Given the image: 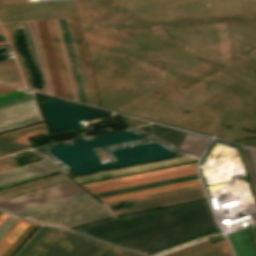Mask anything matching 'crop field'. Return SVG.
I'll return each instance as SVG.
<instances>
[{
	"label": "crop field",
	"instance_id": "35",
	"mask_svg": "<svg viewBox=\"0 0 256 256\" xmlns=\"http://www.w3.org/2000/svg\"><path fill=\"white\" fill-rule=\"evenodd\" d=\"M250 228H251V231H252L255 243H256V225L251 226Z\"/></svg>",
	"mask_w": 256,
	"mask_h": 256
},
{
	"label": "crop field",
	"instance_id": "13",
	"mask_svg": "<svg viewBox=\"0 0 256 256\" xmlns=\"http://www.w3.org/2000/svg\"><path fill=\"white\" fill-rule=\"evenodd\" d=\"M139 128L173 143L178 148L186 134L185 132L169 129L156 124L145 125Z\"/></svg>",
	"mask_w": 256,
	"mask_h": 256
},
{
	"label": "crop field",
	"instance_id": "24",
	"mask_svg": "<svg viewBox=\"0 0 256 256\" xmlns=\"http://www.w3.org/2000/svg\"><path fill=\"white\" fill-rule=\"evenodd\" d=\"M0 81L23 87L24 84L18 71L0 74Z\"/></svg>",
	"mask_w": 256,
	"mask_h": 256
},
{
	"label": "crop field",
	"instance_id": "29",
	"mask_svg": "<svg viewBox=\"0 0 256 256\" xmlns=\"http://www.w3.org/2000/svg\"><path fill=\"white\" fill-rule=\"evenodd\" d=\"M42 120L43 119L40 116V117L32 118V119H29V120L21 121V122H18V123L10 124V125H7V126L0 127V132L8 130V129L16 128V127H19V126L31 124V123H34V122L42 121Z\"/></svg>",
	"mask_w": 256,
	"mask_h": 256
},
{
	"label": "crop field",
	"instance_id": "18",
	"mask_svg": "<svg viewBox=\"0 0 256 256\" xmlns=\"http://www.w3.org/2000/svg\"><path fill=\"white\" fill-rule=\"evenodd\" d=\"M196 178H198L197 175L190 176V177L179 178V179H174V180H169V181H164V182L148 184V185H143V186H138V187L127 188V189H122V190H117V191H112V192L96 194L95 196L97 198H100V197H105V196H110V195H115V194H120V193H125V192L145 189V188H151V187H156V186H161V185H166V184H171V183H176V182H181V181H186V180H191V179H196Z\"/></svg>",
	"mask_w": 256,
	"mask_h": 256
},
{
	"label": "crop field",
	"instance_id": "28",
	"mask_svg": "<svg viewBox=\"0 0 256 256\" xmlns=\"http://www.w3.org/2000/svg\"><path fill=\"white\" fill-rule=\"evenodd\" d=\"M242 149H243V152H244V156H245L247 166H248V169H249V172H250V175H251V179H252V182H253V185H254V188H255V192H256V174H255L254 167H253V164H252V161H251L249 150L245 149V148H242Z\"/></svg>",
	"mask_w": 256,
	"mask_h": 256
},
{
	"label": "crop field",
	"instance_id": "20",
	"mask_svg": "<svg viewBox=\"0 0 256 256\" xmlns=\"http://www.w3.org/2000/svg\"><path fill=\"white\" fill-rule=\"evenodd\" d=\"M36 227L37 225L30 223L28 227L21 233V235L14 241V243L7 249V251L2 256H12V254L27 239V237L34 231Z\"/></svg>",
	"mask_w": 256,
	"mask_h": 256
},
{
	"label": "crop field",
	"instance_id": "21",
	"mask_svg": "<svg viewBox=\"0 0 256 256\" xmlns=\"http://www.w3.org/2000/svg\"><path fill=\"white\" fill-rule=\"evenodd\" d=\"M227 237L234 249L236 256H247L237 231L234 233L228 234Z\"/></svg>",
	"mask_w": 256,
	"mask_h": 256
},
{
	"label": "crop field",
	"instance_id": "1",
	"mask_svg": "<svg viewBox=\"0 0 256 256\" xmlns=\"http://www.w3.org/2000/svg\"><path fill=\"white\" fill-rule=\"evenodd\" d=\"M91 238L51 228L27 256H77Z\"/></svg>",
	"mask_w": 256,
	"mask_h": 256
},
{
	"label": "crop field",
	"instance_id": "27",
	"mask_svg": "<svg viewBox=\"0 0 256 256\" xmlns=\"http://www.w3.org/2000/svg\"><path fill=\"white\" fill-rule=\"evenodd\" d=\"M18 217L9 214L5 220L0 224V238L7 232V230L14 224ZM9 231V230H8Z\"/></svg>",
	"mask_w": 256,
	"mask_h": 256
},
{
	"label": "crop field",
	"instance_id": "2",
	"mask_svg": "<svg viewBox=\"0 0 256 256\" xmlns=\"http://www.w3.org/2000/svg\"><path fill=\"white\" fill-rule=\"evenodd\" d=\"M84 192L81 188L74 183H66L25 196L0 202V209L10 212L45 203L48 201L56 200L73 194Z\"/></svg>",
	"mask_w": 256,
	"mask_h": 256
},
{
	"label": "crop field",
	"instance_id": "16",
	"mask_svg": "<svg viewBox=\"0 0 256 256\" xmlns=\"http://www.w3.org/2000/svg\"><path fill=\"white\" fill-rule=\"evenodd\" d=\"M29 222L19 218L16 223L9 229V231L0 240V256L13 243V241L20 235V233L27 227Z\"/></svg>",
	"mask_w": 256,
	"mask_h": 256
},
{
	"label": "crop field",
	"instance_id": "7",
	"mask_svg": "<svg viewBox=\"0 0 256 256\" xmlns=\"http://www.w3.org/2000/svg\"><path fill=\"white\" fill-rule=\"evenodd\" d=\"M41 115L35 100L0 108V126Z\"/></svg>",
	"mask_w": 256,
	"mask_h": 256
},
{
	"label": "crop field",
	"instance_id": "36",
	"mask_svg": "<svg viewBox=\"0 0 256 256\" xmlns=\"http://www.w3.org/2000/svg\"><path fill=\"white\" fill-rule=\"evenodd\" d=\"M7 216V214H0V223L4 220V218Z\"/></svg>",
	"mask_w": 256,
	"mask_h": 256
},
{
	"label": "crop field",
	"instance_id": "15",
	"mask_svg": "<svg viewBox=\"0 0 256 256\" xmlns=\"http://www.w3.org/2000/svg\"><path fill=\"white\" fill-rule=\"evenodd\" d=\"M118 249L119 247L92 239L78 256H113Z\"/></svg>",
	"mask_w": 256,
	"mask_h": 256
},
{
	"label": "crop field",
	"instance_id": "33",
	"mask_svg": "<svg viewBox=\"0 0 256 256\" xmlns=\"http://www.w3.org/2000/svg\"><path fill=\"white\" fill-rule=\"evenodd\" d=\"M13 89H17V88H14V87H11V86H8V85L1 86L0 87V93L6 92V91H9V90H13Z\"/></svg>",
	"mask_w": 256,
	"mask_h": 256
},
{
	"label": "crop field",
	"instance_id": "6",
	"mask_svg": "<svg viewBox=\"0 0 256 256\" xmlns=\"http://www.w3.org/2000/svg\"><path fill=\"white\" fill-rule=\"evenodd\" d=\"M195 173H197L196 167L179 170V171H174V172H169V173L148 176V177H143V178H138V179H133V180H128V181H123V182H118V183H113V184H107V185L87 188V190L89 192H91L92 194H95V193H100V192H105V191H110V190H115V189H120V188H125V187H130V186H135V185H140V184H145V183H150V182H155V181H160V180H165V179H170V178H175V177H180V176H185V175H190V174H195Z\"/></svg>",
	"mask_w": 256,
	"mask_h": 256
},
{
	"label": "crop field",
	"instance_id": "23",
	"mask_svg": "<svg viewBox=\"0 0 256 256\" xmlns=\"http://www.w3.org/2000/svg\"><path fill=\"white\" fill-rule=\"evenodd\" d=\"M54 173H58V171L53 169V170H49V171L42 172V173H39V174H35V175H31V176L24 177V178H21V179H17V180H14V181H10V182H7V183H3V184H0V188H4V187H7V186L22 183V182H25V181L33 180V179L40 178V177L47 176V175H51V174H54Z\"/></svg>",
	"mask_w": 256,
	"mask_h": 256
},
{
	"label": "crop field",
	"instance_id": "32",
	"mask_svg": "<svg viewBox=\"0 0 256 256\" xmlns=\"http://www.w3.org/2000/svg\"><path fill=\"white\" fill-rule=\"evenodd\" d=\"M114 256H141V255H138L136 253H133L121 248Z\"/></svg>",
	"mask_w": 256,
	"mask_h": 256
},
{
	"label": "crop field",
	"instance_id": "22",
	"mask_svg": "<svg viewBox=\"0 0 256 256\" xmlns=\"http://www.w3.org/2000/svg\"><path fill=\"white\" fill-rule=\"evenodd\" d=\"M238 232H239L240 237L242 239V242L244 244L247 255L248 256H256V253H255V250H254V247H253L248 229L247 228L242 229V230H239Z\"/></svg>",
	"mask_w": 256,
	"mask_h": 256
},
{
	"label": "crop field",
	"instance_id": "30",
	"mask_svg": "<svg viewBox=\"0 0 256 256\" xmlns=\"http://www.w3.org/2000/svg\"><path fill=\"white\" fill-rule=\"evenodd\" d=\"M1 25H2V28H3V30H4V32H5V34H6V37H7L8 41H9V43H10V46H11V48H12V51H13V53H14V55H15V58H16L17 63H18V65H19L20 71H21L22 76H23V78H24L25 84H26V86H27L28 88H30L29 83H28V80H27V78H26V75H25V73H24V71H23V69H22V67H21V65H20V63H19V60H18V57H17V55H16L15 49H14V47H13L11 38H10V36H9L8 30H7L6 26H5V24H1ZM30 89H31V88H30Z\"/></svg>",
	"mask_w": 256,
	"mask_h": 256
},
{
	"label": "crop field",
	"instance_id": "34",
	"mask_svg": "<svg viewBox=\"0 0 256 256\" xmlns=\"http://www.w3.org/2000/svg\"><path fill=\"white\" fill-rule=\"evenodd\" d=\"M0 33H3L2 30H1V28H0ZM1 40H5L6 43L8 44V42H7V40H6L5 36H4V34H0V41H1ZM3 44H5V42H4V41H1V42H0V45H3Z\"/></svg>",
	"mask_w": 256,
	"mask_h": 256
},
{
	"label": "crop field",
	"instance_id": "3",
	"mask_svg": "<svg viewBox=\"0 0 256 256\" xmlns=\"http://www.w3.org/2000/svg\"><path fill=\"white\" fill-rule=\"evenodd\" d=\"M45 124H39L4 135H0V157L30 149L29 138L47 134Z\"/></svg>",
	"mask_w": 256,
	"mask_h": 256
},
{
	"label": "crop field",
	"instance_id": "4",
	"mask_svg": "<svg viewBox=\"0 0 256 256\" xmlns=\"http://www.w3.org/2000/svg\"><path fill=\"white\" fill-rule=\"evenodd\" d=\"M36 22H37L54 94L57 97L66 99L47 22L46 21H36Z\"/></svg>",
	"mask_w": 256,
	"mask_h": 256
},
{
	"label": "crop field",
	"instance_id": "12",
	"mask_svg": "<svg viewBox=\"0 0 256 256\" xmlns=\"http://www.w3.org/2000/svg\"><path fill=\"white\" fill-rule=\"evenodd\" d=\"M198 183H200V182L198 179H196V180H191V181H186V182H181V183H176V184H171V185H166V186H161V187H156V188H151V189H145V190L125 193V194L100 198V200L104 203H107V202L117 201V200H121V199L141 196V195H145V194L165 191V190H169V189L189 186V185L198 184Z\"/></svg>",
	"mask_w": 256,
	"mask_h": 256
},
{
	"label": "crop field",
	"instance_id": "5",
	"mask_svg": "<svg viewBox=\"0 0 256 256\" xmlns=\"http://www.w3.org/2000/svg\"><path fill=\"white\" fill-rule=\"evenodd\" d=\"M203 197L205 196L202 189L194 190V191H189L184 193H178V194L151 198V199H146L141 201H135L133 202V207L116 210V211H113V213L115 215H118V214H123V213H128V212H133V211H138V210H143V209H148V208H153V207H158V206H163V205H168V204H173V203H178V202H183V201H188V200H193V199H198Z\"/></svg>",
	"mask_w": 256,
	"mask_h": 256
},
{
	"label": "crop field",
	"instance_id": "14",
	"mask_svg": "<svg viewBox=\"0 0 256 256\" xmlns=\"http://www.w3.org/2000/svg\"><path fill=\"white\" fill-rule=\"evenodd\" d=\"M209 141V138L187 133L180 146V149L199 158L202 152L208 146Z\"/></svg>",
	"mask_w": 256,
	"mask_h": 256
},
{
	"label": "crop field",
	"instance_id": "10",
	"mask_svg": "<svg viewBox=\"0 0 256 256\" xmlns=\"http://www.w3.org/2000/svg\"><path fill=\"white\" fill-rule=\"evenodd\" d=\"M58 21H59L61 33H62V36H63L66 52H67V55H68L70 67H71V70H72L75 86H76V89H77L79 101L81 103L86 104L84 94H83V90H82V86H81V82H80V78H79V74H78V70H77V66H76V61H75L71 41H70V37H69V33H68V29H67V25H66V21H65V19H61V20H58Z\"/></svg>",
	"mask_w": 256,
	"mask_h": 256
},
{
	"label": "crop field",
	"instance_id": "11",
	"mask_svg": "<svg viewBox=\"0 0 256 256\" xmlns=\"http://www.w3.org/2000/svg\"><path fill=\"white\" fill-rule=\"evenodd\" d=\"M49 169H53V167H51L48 163L43 161L36 164L28 165L25 167H21L18 169H14L11 171L3 172V173H0V183L21 178L24 176H28L31 174L39 173Z\"/></svg>",
	"mask_w": 256,
	"mask_h": 256
},
{
	"label": "crop field",
	"instance_id": "25",
	"mask_svg": "<svg viewBox=\"0 0 256 256\" xmlns=\"http://www.w3.org/2000/svg\"><path fill=\"white\" fill-rule=\"evenodd\" d=\"M32 23H33V27H34L37 43H38V46H39V50H40V54H41V58H42L43 66H44V70H45V73H46V77H47L50 93L53 94V90H52V86H51V82H50V78H49V74H48V70H47V66H46V62H45V58H44V54H43V50H42V46H41V42H40L38 30H37V26H36V22L33 21Z\"/></svg>",
	"mask_w": 256,
	"mask_h": 256
},
{
	"label": "crop field",
	"instance_id": "26",
	"mask_svg": "<svg viewBox=\"0 0 256 256\" xmlns=\"http://www.w3.org/2000/svg\"><path fill=\"white\" fill-rule=\"evenodd\" d=\"M27 94H31V92L21 90V89H17V90L9 91V92H6V93H2V94H0V102L6 101V100H9V99H13V98H16V97L24 96V95H27Z\"/></svg>",
	"mask_w": 256,
	"mask_h": 256
},
{
	"label": "crop field",
	"instance_id": "8",
	"mask_svg": "<svg viewBox=\"0 0 256 256\" xmlns=\"http://www.w3.org/2000/svg\"><path fill=\"white\" fill-rule=\"evenodd\" d=\"M165 256H233L226 240L210 245L209 241L187 247Z\"/></svg>",
	"mask_w": 256,
	"mask_h": 256
},
{
	"label": "crop field",
	"instance_id": "19",
	"mask_svg": "<svg viewBox=\"0 0 256 256\" xmlns=\"http://www.w3.org/2000/svg\"><path fill=\"white\" fill-rule=\"evenodd\" d=\"M53 21H54V25H55V29H56V33H57V37H58V41H59V45H60V48H61V52H62V56H63L65 68H66V72H67V75H68V79H69V83H70L73 99L75 101H78V97H77L76 89H75V86H74L71 70H70V67H69L67 55H66V52H65L62 36H61V33H60L58 21L57 20H53Z\"/></svg>",
	"mask_w": 256,
	"mask_h": 256
},
{
	"label": "crop field",
	"instance_id": "31",
	"mask_svg": "<svg viewBox=\"0 0 256 256\" xmlns=\"http://www.w3.org/2000/svg\"><path fill=\"white\" fill-rule=\"evenodd\" d=\"M33 95H27V96H24V97H20V98H16V99H13V100H9V101H6V102H2L0 103V107H4V106H7V105H11V104H15V103H18V102H22V101H25V100H29V99H33Z\"/></svg>",
	"mask_w": 256,
	"mask_h": 256
},
{
	"label": "crop field",
	"instance_id": "37",
	"mask_svg": "<svg viewBox=\"0 0 256 256\" xmlns=\"http://www.w3.org/2000/svg\"><path fill=\"white\" fill-rule=\"evenodd\" d=\"M1 85H5V84H1V83H0V86H1Z\"/></svg>",
	"mask_w": 256,
	"mask_h": 256
},
{
	"label": "crop field",
	"instance_id": "17",
	"mask_svg": "<svg viewBox=\"0 0 256 256\" xmlns=\"http://www.w3.org/2000/svg\"><path fill=\"white\" fill-rule=\"evenodd\" d=\"M196 164H197V162L180 165V166H176V167H171V168H166V169H161V170H156V171H151V172H146V173H141V174H137V175L127 176V177L102 181V182H98V183L83 185V187L87 188V187H92V186H97V185H102V184H107V183H112V182H118V181H123V180H128V179H133V178H138V177H143V176H148V175H153V174H158V173H163V172H168V171H174V170L194 167V166H196Z\"/></svg>",
	"mask_w": 256,
	"mask_h": 256
},
{
	"label": "crop field",
	"instance_id": "9",
	"mask_svg": "<svg viewBox=\"0 0 256 256\" xmlns=\"http://www.w3.org/2000/svg\"><path fill=\"white\" fill-rule=\"evenodd\" d=\"M88 199H92V197L89 196L86 192H84V193H80V194H77V195H73V196H70V197H66V198L59 199V200H56V201H52V202H49V203L41 204V205H38V206H34V207H31V208H27V209H24V210L13 212V213L18 214L22 217H25V216L33 215V214H36V213L44 212V211H47V210H51V209L59 208V207H62V206L70 205V204H73V203L81 202V201L88 200Z\"/></svg>",
	"mask_w": 256,
	"mask_h": 256
}]
</instances>
